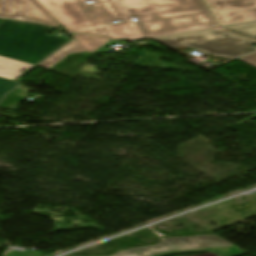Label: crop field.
Returning <instances> with one entry per match:
<instances>
[{
	"label": "crop field",
	"instance_id": "obj_1",
	"mask_svg": "<svg viewBox=\"0 0 256 256\" xmlns=\"http://www.w3.org/2000/svg\"><path fill=\"white\" fill-rule=\"evenodd\" d=\"M66 30L112 38L88 0H36ZM103 21L135 22L144 37L216 27L201 0H93Z\"/></svg>",
	"mask_w": 256,
	"mask_h": 256
},
{
	"label": "crop field",
	"instance_id": "obj_2",
	"mask_svg": "<svg viewBox=\"0 0 256 256\" xmlns=\"http://www.w3.org/2000/svg\"><path fill=\"white\" fill-rule=\"evenodd\" d=\"M53 29L36 23L3 20L0 23V55L37 64L69 41L48 35Z\"/></svg>",
	"mask_w": 256,
	"mask_h": 256
},
{
	"label": "crop field",
	"instance_id": "obj_3",
	"mask_svg": "<svg viewBox=\"0 0 256 256\" xmlns=\"http://www.w3.org/2000/svg\"><path fill=\"white\" fill-rule=\"evenodd\" d=\"M155 40L164 45H183L228 59L256 50L249 47L256 42L216 29L156 38Z\"/></svg>",
	"mask_w": 256,
	"mask_h": 256
},
{
	"label": "crop field",
	"instance_id": "obj_4",
	"mask_svg": "<svg viewBox=\"0 0 256 256\" xmlns=\"http://www.w3.org/2000/svg\"><path fill=\"white\" fill-rule=\"evenodd\" d=\"M206 250L222 256H241L244 252L218 236L164 238L158 245L134 247L113 256H157L170 252Z\"/></svg>",
	"mask_w": 256,
	"mask_h": 256
},
{
	"label": "crop field",
	"instance_id": "obj_5",
	"mask_svg": "<svg viewBox=\"0 0 256 256\" xmlns=\"http://www.w3.org/2000/svg\"><path fill=\"white\" fill-rule=\"evenodd\" d=\"M219 25L256 20V0H205Z\"/></svg>",
	"mask_w": 256,
	"mask_h": 256
},
{
	"label": "crop field",
	"instance_id": "obj_6",
	"mask_svg": "<svg viewBox=\"0 0 256 256\" xmlns=\"http://www.w3.org/2000/svg\"><path fill=\"white\" fill-rule=\"evenodd\" d=\"M0 17H21L52 26L59 25L35 0H0Z\"/></svg>",
	"mask_w": 256,
	"mask_h": 256
},
{
	"label": "crop field",
	"instance_id": "obj_7",
	"mask_svg": "<svg viewBox=\"0 0 256 256\" xmlns=\"http://www.w3.org/2000/svg\"><path fill=\"white\" fill-rule=\"evenodd\" d=\"M33 64L5 58L0 56V77L14 81L20 74L22 69L27 70Z\"/></svg>",
	"mask_w": 256,
	"mask_h": 256
},
{
	"label": "crop field",
	"instance_id": "obj_8",
	"mask_svg": "<svg viewBox=\"0 0 256 256\" xmlns=\"http://www.w3.org/2000/svg\"><path fill=\"white\" fill-rule=\"evenodd\" d=\"M108 28L118 39H139L142 36L139 34L131 21L119 24L109 25Z\"/></svg>",
	"mask_w": 256,
	"mask_h": 256
},
{
	"label": "crop field",
	"instance_id": "obj_9",
	"mask_svg": "<svg viewBox=\"0 0 256 256\" xmlns=\"http://www.w3.org/2000/svg\"><path fill=\"white\" fill-rule=\"evenodd\" d=\"M85 51L81 45L74 39L70 43H68L66 46H64L62 49L57 51L55 54L47 58L45 61L40 63L38 66H41L43 68L48 69L53 64H55L57 61H59L61 58H63L68 53H74V52H83Z\"/></svg>",
	"mask_w": 256,
	"mask_h": 256
},
{
	"label": "crop field",
	"instance_id": "obj_10",
	"mask_svg": "<svg viewBox=\"0 0 256 256\" xmlns=\"http://www.w3.org/2000/svg\"><path fill=\"white\" fill-rule=\"evenodd\" d=\"M72 35L83 46V48L90 54L110 41L108 39H101V38L74 35V34Z\"/></svg>",
	"mask_w": 256,
	"mask_h": 256
},
{
	"label": "crop field",
	"instance_id": "obj_11",
	"mask_svg": "<svg viewBox=\"0 0 256 256\" xmlns=\"http://www.w3.org/2000/svg\"><path fill=\"white\" fill-rule=\"evenodd\" d=\"M222 29L256 40V22L223 27Z\"/></svg>",
	"mask_w": 256,
	"mask_h": 256
},
{
	"label": "crop field",
	"instance_id": "obj_12",
	"mask_svg": "<svg viewBox=\"0 0 256 256\" xmlns=\"http://www.w3.org/2000/svg\"><path fill=\"white\" fill-rule=\"evenodd\" d=\"M27 92L21 91L16 96L8 94L4 100L0 103V107L16 110Z\"/></svg>",
	"mask_w": 256,
	"mask_h": 256
},
{
	"label": "crop field",
	"instance_id": "obj_13",
	"mask_svg": "<svg viewBox=\"0 0 256 256\" xmlns=\"http://www.w3.org/2000/svg\"><path fill=\"white\" fill-rule=\"evenodd\" d=\"M2 20H0L1 22ZM16 86V82L0 79V98L10 89Z\"/></svg>",
	"mask_w": 256,
	"mask_h": 256
},
{
	"label": "crop field",
	"instance_id": "obj_14",
	"mask_svg": "<svg viewBox=\"0 0 256 256\" xmlns=\"http://www.w3.org/2000/svg\"><path fill=\"white\" fill-rule=\"evenodd\" d=\"M239 60L256 67V53L241 57Z\"/></svg>",
	"mask_w": 256,
	"mask_h": 256
}]
</instances>
